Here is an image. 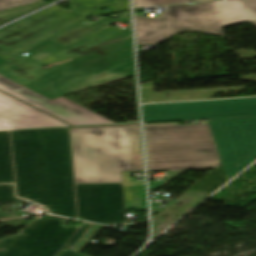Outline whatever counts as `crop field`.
<instances>
[{
  "label": "crop field",
  "instance_id": "8a807250",
  "mask_svg": "<svg viewBox=\"0 0 256 256\" xmlns=\"http://www.w3.org/2000/svg\"><path fill=\"white\" fill-rule=\"evenodd\" d=\"M17 195L77 219L69 128L9 131Z\"/></svg>",
  "mask_w": 256,
  "mask_h": 256
},
{
  "label": "crop field",
  "instance_id": "cbeb9de0",
  "mask_svg": "<svg viewBox=\"0 0 256 256\" xmlns=\"http://www.w3.org/2000/svg\"><path fill=\"white\" fill-rule=\"evenodd\" d=\"M91 224L83 222L81 227L76 231V233L68 240V242L62 247V249L57 253L56 256H83L81 254H77L68 248L75 245V243L79 240V238L88 231Z\"/></svg>",
  "mask_w": 256,
  "mask_h": 256
},
{
  "label": "crop field",
  "instance_id": "92a150f3",
  "mask_svg": "<svg viewBox=\"0 0 256 256\" xmlns=\"http://www.w3.org/2000/svg\"><path fill=\"white\" fill-rule=\"evenodd\" d=\"M188 1H193V0H188Z\"/></svg>",
  "mask_w": 256,
  "mask_h": 256
},
{
  "label": "crop field",
  "instance_id": "733c2abd",
  "mask_svg": "<svg viewBox=\"0 0 256 256\" xmlns=\"http://www.w3.org/2000/svg\"><path fill=\"white\" fill-rule=\"evenodd\" d=\"M39 0H0V10L7 9Z\"/></svg>",
  "mask_w": 256,
  "mask_h": 256
},
{
  "label": "crop field",
  "instance_id": "214f88e0",
  "mask_svg": "<svg viewBox=\"0 0 256 256\" xmlns=\"http://www.w3.org/2000/svg\"><path fill=\"white\" fill-rule=\"evenodd\" d=\"M251 22L256 25V20L255 21H251Z\"/></svg>",
  "mask_w": 256,
  "mask_h": 256
},
{
  "label": "crop field",
  "instance_id": "22f410ed",
  "mask_svg": "<svg viewBox=\"0 0 256 256\" xmlns=\"http://www.w3.org/2000/svg\"><path fill=\"white\" fill-rule=\"evenodd\" d=\"M220 161L147 165L149 172L216 168Z\"/></svg>",
  "mask_w": 256,
  "mask_h": 256
},
{
  "label": "crop field",
  "instance_id": "ac0d7876",
  "mask_svg": "<svg viewBox=\"0 0 256 256\" xmlns=\"http://www.w3.org/2000/svg\"><path fill=\"white\" fill-rule=\"evenodd\" d=\"M75 184L122 183L143 171L139 124L70 128Z\"/></svg>",
  "mask_w": 256,
  "mask_h": 256
},
{
  "label": "crop field",
  "instance_id": "f4fd0767",
  "mask_svg": "<svg viewBox=\"0 0 256 256\" xmlns=\"http://www.w3.org/2000/svg\"><path fill=\"white\" fill-rule=\"evenodd\" d=\"M144 129L147 164L220 160L208 124H151Z\"/></svg>",
  "mask_w": 256,
  "mask_h": 256
},
{
  "label": "crop field",
  "instance_id": "dd49c442",
  "mask_svg": "<svg viewBox=\"0 0 256 256\" xmlns=\"http://www.w3.org/2000/svg\"><path fill=\"white\" fill-rule=\"evenodd\" d=\"M208 122L228 180L256 158V117Z\"/></svg>",
  "mask_w": 256,
  "mask_h": 256
},
{
  "label": "crop field",
  "instance_id": "d8731c3e",
  "mask_svg": "<svg viewBox=\"0 0 256 256\" xmlns=\"http://www.w3.org/2000/svg\"><path fill=\"white\" fill-rule=\"evenodd\" d=\"M144 122L256 116V98L145 105Z\"/></svg>",
  "mask_w": 256,
  "mask_h": 256
},
{
  "label": "crop field",
  "instance_id": "5a996713",
  "mask_svg": "<svg viewBox=\"0 0 256 256\" xmlns=\"http://www.w3.org/2000/svg\"><path fill=\"white\" fill-rule=\"evenodd\" d=\"M78 219L125 223L122 184L75 185Z\"/></svg>",
  "mask_w": 256,
  "mask_h": 256
},
{
  "label": "crop field",
  "instance_id": "d1516ede",
  "mask_svg": "<svg viewBox=\"0 0 256 256\" xmlns=\"http://www.w3.org/2000/svg\"><path fill=\"white\" fill-rule=\"evenodd\" d=\"M14 182L8 131L0 132V183Z\"/></svg>",
  "mask_w": 256,
  "mask_h": 256
},
{
  "label": "crop field",
  "instance_id": "d9b57169",
  "mask_svg": "<svg viewBox=\"0 0 256 256\" xmlns=\"http://www.w3.org/2000/svg\"><path fill=\"white\" fill-rule=\"evenodd\" d=\"M185 1L187 0H135L134 8L147 7L153 5H167Z\"/></svg>",
  "mask_w": 256,
  "mask_h": 256
},
{
  "label": "crop field",
  "instance_id": "5142ce71",
  "mask_svg": "<svg viewBox=\"0 0 256 256\" xmlns=\"http://www.w3.org/2000/svg\"><path fill=\"white\" fill-rule=\"evenodd\" d=\"M18 198L14 197L13 185L12 184H1L0 185V204L18 201Z\"/></svg>",
  "mask_w": 256,
  "mask_h": 256
},
{
  "label": "crop field",
  "instance_id": "e52e79f7",
  "mask_svg": "<svg viewBox=\"0 0 256 256\" xmlns=\"http://www.w3.org/2000/svg\"><path fill=\"white\" fill-rule=\"evenodd\" d=\"M67 219L45 215L32 219L15 235L0 240V256H55L67 240L80 227L65 225Z\"/></svg>",
  "mask_w": 256,
  "mask_h": 256
},
{
  "label": "crop field",
  "instance_id": "3316defc",
  "mask_svg": "<svg viewBox=\"0 0 256 256\" xmlns=\"http://www.w3.org/2000/svg\"><path fill=\"white\" fill-rule=\"evenodd\" d=\"M0 90L17 97L71 125L113 123L62 97L49 100L1 75Z\"/></svg>",
  "mask_w": 256,
  "mask_h": 256
},
{
  "label": "crop field",
  "instance_id": "412701ff",
  "mask_svg": "<svg viewBox=\"0 0 256 256\" xmlns=\"http://www.w3.org/2000/svg\"><path fill=\"white\" fill-rule=\"evenodd\" d=\"M256 0L202 1L171 5L160 18L135 15L137 44H157L184 30L224 36L221 28L255 20Z\"/></svg>",
  "mask_w": 256,
  "mask_h": 256
},
{
  "label": "crop field",
  "instance_id": "bc2a9ffb",
  "mask_svg": "<svg viewBox=\"0 0 256 256\" xmlns=\"http://www.w3.org/2000/svg\"><path fill=\"white\" fill-rule=\"evenodd\" d=\"M5 62H6V61L0 59V65L3 64V63H5Z\"/></svg>",
  "mask_w": 256,
  "mask_h": 256
},
{
  "label": "crop field",
  "instance_id": "28ad6ade",
  "mask_svg": "<svg viewBox=\"0 0 256 256\" xmlns=\"http://www.w3.org/2000/svg\"><path fill=\"white\" fill-rule=\"evenodd\" d=\"M0 120L17 129L68 126L2 92Z\"/></svg>",
  "mask_w": 256,
  "mask_h": 256
},
{
  "label": "crop field",
  "instance_id": "34b2d1b8",
  "mask_svg": "<svg viewBox=\"0 0 256 256\" xmlns=\"http://www.w3.org/2000/svg\"><path fill=\"white\" fill-rule=\"evenodd\" d=\"M133 75L130 28L25 87L53 99Z\"/></svg>",
  "mask_w": 256,
  "mask_h": 256
},
{
  "label": "crop field",
  "instance_id": "4a817a6b",
  "mask_svg": "<svg viewBox=\"0 0 256 256\" xmlns=\"http://www.w3.org/2000/svg\"><path fill=\"white\" fill-rule=\"evenodd\" d=\"M15 128L3 123L0 121V131H3V130H13Z\"/></svg>",
  "mask_w": 256,
  "mask_h": 256
}]
</instances>
